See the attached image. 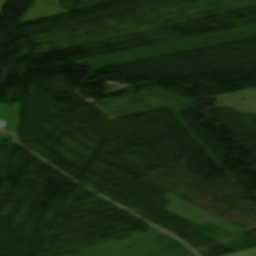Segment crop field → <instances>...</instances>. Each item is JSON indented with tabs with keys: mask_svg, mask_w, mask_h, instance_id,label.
Here are the masks:
<instances>
[{
	"mask_svg": "<svg viewBox=\"0 0 256 256\" xmlns=\"http://www.w3.org/2000/svg\"><path fill=\"white\" fill-rule=\"evenodd\" d=\"M225 256H256V248L241 251L238 253H233Z\"/></svg>",
	"mask_w": 256,
	"mask_h": 256,
	"instance_id": "crop-field-1",
	"label": "crop field"
},
{
	"mask_svg": "<svg viewBox=\"0 0 256 256\" xmlns=\"http://www.w3.org/2000/svg\"><path fill=\"white\" fill-rule=\"evenodd\" d=\"M5 108H6V106L0 105V130H1V127H2V122H3V118H4Z\"/></svg>",
	"mask_w": 256,
	"mask_h": 256,
	"instance_id": "crop-field-2",
	"label": "crop field"
},
{
	"mask_svg": "<svg viewBox=\"0 0 256 256\" xmlns=\"http://www.w3.org/2000/svg\"><path fill=\"white\" fill-rule=\"evenodd\" d=\"M7 0H0V8L3 7V5L6 3Z\"/></svg>",
	"mask_w": 256,
	"mask_h": 256,
	"instance_id": "crop-field-3",
	"label": "crop field"
}]
</instances>
